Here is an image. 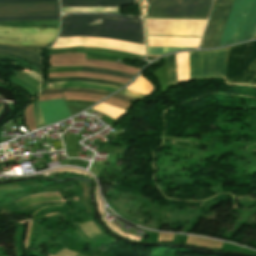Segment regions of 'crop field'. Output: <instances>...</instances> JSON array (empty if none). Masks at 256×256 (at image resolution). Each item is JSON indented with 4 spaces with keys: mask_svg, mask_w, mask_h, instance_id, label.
<instances>
[{
    "mask_svg": "<svg viewBox=\"0 0 256 256\" xmlns=\"http://www.w3.org/2000/svg\"><path fill=\"white\" fill-rule=\"evenodd\" d=\"M72 35L109 37L144 44L142 20L138 18L105 14L62 15L61 33L51 48L91 46L145 55L141 44L89 37L60 38Z\"/></svg>",
    "mask_w": 256,
    "mask_h": 256,
    "instance_id": "8a807250",
    "label": "crop field"
},
{
    "mask_svg": "<svg viewBox=\"0 0 256 256\" xmlns=\"http://www.w3.org/2000/svg\"><path fill=\"white\" fill-rule=\"evenodd\" d=\"M166 19V18H161ZM146 19L148 34L200 38L206 21ZM146 29V26H145ZM147 35L146 36H154ZM156 36V37H167ZM148 37L149 46L197 48L199 40ZM173 37V38H180ZM148 54H163L184 48L148 47Z\"/></svg>",
    "mask_w": 256,
    "mask_h": 256,
    "instance_id": "ac0d7876",
    "label": "crop field"
},
{
    "mask_svg": "<svg viewBox=\"0 0 256 256\" xmlns=\"http://www.w3.org/2000/svg\"><path fill=\"white\" fill-rule=\"evenodd\" d=\"M256 30V0H235L218 46L253 38Z\"/></svg>",
    "mask_w": 256,
    "mask_h": 256,
    "instance_id": "34b2d1b8",
    "label": "crop field"
},
{
    "mask_svg": "<svg viewBox=\"0 0 256 256\" xmlns=\"http://www.w3.org/2000/svg\"><path fill=\"white\" fill-rule=\"evenodd\" d=\"M226 81L256 85V41L229 47Z\"/></svg>",
    "mask_w": 256,
    "mask_h": 256,
    "instance_id": "412701ff",
    "label": "crop field"
},
{
    "mask_svg": "<svg viewBox=\"0 0 256 256\" xmlns=\"http://www.w3.org/2000/svg\"><path fill=\"white\" fill-rule=\"evenodd\" d=\"M213 0H145L147 16L207 17Z\"/></svg>",
    "mask_w": 256,
    "mask_h": 256,
    "instance_id": "f4fd0767",
    "label": "crop field"
},
{
    "mask_svg": "<svg viewBox=\"0 0 256 256\" xmlns=\"http://www.w3.org/2000/svg\"><path fill=\"white\" fill-rule=\"evenodd\" d=\"M227 48L189 52L190 79L224 75Z\"/></svg>",
    "mask_w": 256,
    "mask_h": 256,
    "instance_id": "dd49c442",
    "label": "crop field"
},
{
    "mask_svg": "<svg viewBox=\"0 0 256 256\" xmlns=\"http://www.w3.org/2000/svg\"><path fill=\"white\" fill-rule=\"evenodd\" d=\"M58 30L0 28V44L46 45L57 36Z\"/></svg>",
    "mask_w": 256,
    "mask_h": 256,
    "instance_id": "e52e79f7",
    "label": "crop field"
},
{
    "mask_svg": "<svg viewBox=\"0 0 256 256\" xmlns=\"http://www.w3.org/2000/svg\"><path fill=\"white\" fill-rule=\"evenodd\" d=\"M233 0H217L200 48L218 45Z\"/></svg>",
    "mask_w": 256,
    "mask_h": 256,
    "instance_id": "d8731c3e",
    "label": "crop field"
},
{
    "mask_svg": "<svg viewBox=\"0 0 256 256\" xmlns=\"http://www.w3.org/2000/svg\"><path fill=\"white\" fill-rule=\"evenodd\" d=\"M48 14H59L58 3L0 5V17Z\"/></svg>",
    "mask_w": 256,
    "mask_h": 256,
    "instance_id": "5a996713",
    "label": "crop field"
},
{
    "mask_svg": "<svg viewBox=\"0 0 256 256\" xmlns=\"http://www.w3.org/2000/svg\"><path fill=\"white\" fill-rule=\"evenodd\" d=\"M45 124H51L71 116L63 99L39 102Z\"/></svg>",
    "mask_w": 256,
    "mask_h": 256,
    "instance_id": "3316defc",
    "label": "crop field"
},
{
    "mask_svg": "<svg viewBox=\"0 0 256 256\" xmlns=\"http://www.w3.org/2000/svg\"><path fill=\"white\" fill-rule=\"evenodd\" d=\"M139 0H61L62 7L120 6Z\"/></svg>",
    "mask_w": 256,
    "mask_h": 256,
    "instance_id": "28ad6ade",
    "label": "crop field"
},
{
    "mask_svg": "<svg viewBox=\"0 0 256 256\" xmlns=\"http://www.w3.org/2000/svg\"><path fill=\"white\" fill-rule=\"evenodd\" d=\"M177 82L189 79L188 52L176 54Z\"/></svg>",
    "mask_w": 256,
    "mask_h": 256,
    "instance_id": "d1516ede",
    "label": "crop field"
},
{
    "mask_svg": "<svg viewBox=\"0 0 256 256\" xmlns=\"http://www.w3.org/2000/svg\"><path fill=\"white\" fill-rule=\"evenodd\" d=\"M142 76L140 74L138 78L126 89L137 92L141 95L148 96L153 93L154 87L150 81Z\"/></svg>",
    "mask_w": 256,
    "mask_h": 256,
    "instance_id": "22f410ed",
    "label": "crop field"
},
{
    "mask_svg": "<svg viewBox=\"0 0 256 256\" xmlns=\"http://www.w3.org/2000/svg\"><path fill=\"white\" fill-rule=\"evenodd\" d=\"M92 109H94L102 114H105L117 121L127 113V111H125V110H122L115 106L104 104V103H101V104L93 107Z\"/></svg>",
    "mask_w": 256,
    "mask_h": 256,
    "instance_id": "cbeb9de0",
    "label": "crop field"
},
{
    "mask_svg": "<svg viewBox=\"0 0 256 256\" xmlns=\"http://www.w3.org/2000/svg\"><path fill=\"white\" fill-rule=\"evenodd\" d=\"M0 50L22 54L24 56H27V57L35 60L37 63H39L41 65L40 55H38L30 50L18 48V47H14V46H5V45H0Z\"/></svg>",
    "mask_w": 256,
    "mask_h": 256,
    "instance_id": "5142ce71",
    "label": "crop field"
},
{
    "mask_svg": "<svg viewBox=\"0 0 256 256\" xmlns=\"http://www.w3.org/2000/svg\"><path fill=\"white\" fill-rule=\"evenodd\" d=\"M66 80H81V81H87V82H93V83L114 85V86H118V87H121L122 85H124L122 83L103 81V80H97V79H86V78H79V77L53 78V79H47V80H45V82H59V81H66Z\"/></svg>",
    "mask_w": 256,
    "mask_h": 256,
    "instance_id": "d9b57169",
    "label": "crop field"
},
{
    "mask_svg": "<svg viewBox=\"0 0 256 256\" xmlns=\"http://www.w3.org/2000/svg\"><path fill=\"white\" fill-rule=\"evenodd\" d=\"M82 71L111 74V75H115V76H119L127 79H131L133 76L132 74H128L124 72H118V71H113V70H108L103 68H96V67H89V66H84Z\"/></svg>",
    "mask_w": 256,
    "mask_h": 256,
    "instance_id": "733c2abd",
    "label": "crop field"
},
{
    "mask_svg": "<svg viewBox=\"0 0 256 256\" xmlns=\"http://www.w3.org/2000/svg\"><path fill=\"white\" fill-rule=\"evenodd\" d=\"M61 91H68V92H87V93H93V94H102V95H108L110 92L101 91V90H93V89H52V90H44L43 94H49V93H61Z\"/></svg>",
    "mask_w": 256,
    "mask_h": 256,
    "instance_id": "4a817a6b",
    "label": "crop field"
},
{
    "mask_svg": "<svg viewBox=\"0 0 256 256\" xmlns=\"http://www.w3.org/2000/svg\"><path fill=\"white\" fill-rule=\"evenodd\" d=\"M168 83L176 82L175 54L167 57Z\"/></svg>",
    "mask_w": 256,
    "mask_h": 256,
    "instance_id": "bc2a9ffb",
    "label": "crop field"
},
{
    "mask_svg": "<svg viewBox=\"0 0 256 256\" xmlns=\"http://www.w3.org/2000/svg\"><path fill=\"white\" fill-rule=\"evenodd\" d=\"M42 19H59V15L25 16V17H1L0 21H8V20H42Z\"/></svg>",
    "mask_w": 256,
    "mask_h": 256,
    "instance_id": "214f88e0",
    "label": "crop field"
},
{
    "mask_svg": "<svg viewBox=\"0 0 256 256\" xmlns=\"http://www.w3.org/2000/svg\"><path fill=\"white\" fill-rule=\"evenodd\" d=\"M33 110H34V121H35L36 127L38 128V127L44 126L45 124L40 113L38 99L33 102Z\"/></svg>",
    "mask_w": 256,
    "mask_h": 256,
    "instance_id": "92a150f3",
    "label": "crop field"
},
{
    "mask_svg": "<svg viewBox=\"0 0 256 256\" xmlns=\"http://www.w3.org/2000/svg\"><path fill=\"white\" fill-rule=\"evenodd\" d=\"M0 55H7V56H15L17 58H20V59H23V60H26L28 62H30L31 64H33L37 69H41V66H39L38 64H36L35 62H33L32 60L22 56V55H18V54H13V53H6V52H1L0 51Z\"/></svg>",
    "mask_w": 256,
    "mask_h": 256,
    "instance_id": "dafd665d",
    "label": "crop field"
},
{
    "mask_svg": "<svg viewBox=\"0 0 256 256\" xmlns=\"http://www.w3.org/2000/svg\"><path fill=\"white\" fill-rule=\"evenodd\" d=\"M43 1H58V0H0V3H12V2H43Z\"/></svg>",
    "mask_w": 256,
    "mask_h": 256,
    "instance_id": "00972430",
    "label": "crop field"
},
{
    "mask_svg": "<svg viewBox=\"0 0 256 256\" xmlns=\"http://www.w3.org/2000/svg\"><path fill=\"white\" fill-rule=\"evenodd\" d=\"M113 97H117V98L123 99L125 101H129V102L135 101V99H132V98H129V97H126V96H122V95H119V94H116Z\"/></svg>",
    "mask_w": 256,
    "mask_h": 256,
    "instance_id": "a9b5d70f",
    "label": "crop field"
},
{
    "mask_svg": "<svg viewBox=\"0 0 256 256\" xmlns=\"http://www.w3.org/2000/svg\"><path fill=\"white\" fill-rule=\"evenodd\" d=\"M254 37H256V34H255V36Z\"/></svg>",
    "mask_w": 256,
    "mask_h": 256,
    "instance_id": "4177f3b9",
    "label": "crop field"
}]
</instances>
